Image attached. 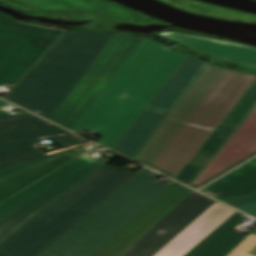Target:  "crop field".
<instances>
[{
    "instance_id": "1",
    "label": "crop field",
    "mask_w": 256,
    "mask_h": 256,
    "mask_svg": "<svg viewBox=\"0 0 256 256\" xmlns=\"http://www.w3.org/2000/svg\"><path fill=\"white\" fill-rule=\"evenodd\" d=\"M255 79L206 63L131 159L175 179Z\"/></svg>"
},
{
    "instance_id": "2",
    "label": "crop field",
    "mask_w": 256,
    "mask_h": 256,
    "mask_svg": "<svg viewBox=\"0 0 256 256\" xmlns=\"http://www.w3.org/2000/svg\"><path fill=\"white\" fill-rule=\"evenodd\" d=\"M185 57L144 39L70 130L95 131L111 149Z\"/></svg>"
},
{
    "instance_id": "3",
    "label": "crop field",
    "mask_w": 256,
    "mask_h": 256,
    "mask_svg": "<svg viewBox=\"0 0 256 256\" xmlns=\"http://www.w3.org/2000/svg\"><path fill=\"white\" fill-rule=\"evenodd\" d=\"M114 33L66 32L5 99L50 120Z\"/></svg>"
},
{
    "instance_id": "4",
    "label": "crop field",
    "mask_w": 256,
    "mask_h": 256,
    "mask_svg": "<svg viewBox=\"0 0 256 256\" xmlns=\"http://www.w3.org/2000/svg\"><path fill=\"white\" fill-rule=\"evenodd\" d=\"M135 175L137 173L105 164L2 241L0 256H36Z\"/></svg>"
},
{
    "instance_id": "5",
    "label": "crop field",
    "mask_w": 256,
    "mask_h": 256,
    "mask_svg": "<svg viewBox=\"0 0 256 256\" xmlns=\"http://www.w3.org/2000/svg\"><path fill=\"white\" fill-rule=\"evenodd\" d=\"M143 169L37 256H91L174 186Z\"/></svg>"
},
{
    "instance_id": "6",
    "label": "crop field",
    "mask_w": 256,
    "mask_h": 256,
    "mask_svg": "<svg viewBox=\"0 0 256 256\" xmlns=\"http://www.w3.org/2000/svg\"><path fill=\"white\" fill-rule=\"evenodd\" d=\"M106 162L108 161L79 156L47 177L0 203V242L47 203L96 171Z\"/></svg>"
},
{
    "instance_id": "7",
    "label": "crop field",
    "mask_w": 256,
    "mask_h": 256,
    "mask_svg": "<svg viewBox=\"0 0 256 256\" xmlns=\"http://www.w3.org/2000/svg\"><path fill=\"white\" fill-rule=\"evenodd\" d=\"M141 41L115 33L51 120L70 129Z\"/></svg>"
},
{
    "instance_id": "8",
    "label": "crop field",
    "mask_w": 256,
    "mask_h": 256,
    "mask_svg": "<svg viewBox=\"0 0 256 256\" xmlns=\"http://www.w3.org/2000/svg\"><path fill=\"white\" fill-rule=\"evenodd\" d=\"M63 32L0 14V84L14 86Z\"/></svg>"
},
{
    "instance_id": "9",
    "label": "crop field",
    "mask_w": 256,
    "mask_h": 256,
    "mask_svg": "<svg viewBox=\"0 0 256 256\" xmlns=\"http://www.w3.org/2000/svg\"><path fill=\"white\" fill-rule=\"evenodd\" d=\"M204 64L186 57L112 150L131 158Z\"/></svg>"
},
{
    "instance_id": "10",
    "label": "crop field",
    "mask_w": 256,
    "mask_h": 256,
    "mask_svg": "<svg viewBox=\"0 0 256 256\" xmlns=\"http://www.w3.org/2000/svg\"><path fill=\"white\" fill-rule=\"evenodd\" d=\"M67 133L30 113L0 115V163L43 153L28 139Z\"/></svg>"
},
{
    "instance_id": "11",
    "label": "crop field",
    "mask_w": 256,
    "mask_h": 256,
    "mask_svg": "<svg viewBox=\"0 0 256 256\" xmlns=\"http://www.w3.org/2000/svg\"><path fill=\"white\" fill-rule=\"evenodd\" d=\"M214 202L193 191L123 256L155 255ZM161 229L166 231L159 233Z\"/></svg>"
},
{
    "instance_id": "12",
    "label": "crop field",
    "mask_w": 256,
    "mask_h": 256,
    "mask_svg": "<svg viewBox=\"0 0 256 256\" xmlns=\"http://www.w3.org/2000/svg\"><path fill=\"white\" fill-rule=\"evenodd\" d=\"M256 155V106L190 185L197 189Z\"/></svg>"
},
{
    "instance_id": "13",
    "label": "crop field",
    "mask_w": 256,
    "mask_h": 256,
    "mask_svg": "<svg viewBox=\"0 0 256 256\" xmlns=\"http://www.w3.org/2000/svg\"><path fill=\"white\" fill-rule=\"evenodd\" d=\"M193 190L177 185L92 256H121Z\"/></svg>"
},
{
    "instance_id": "14",
    "label": "crop field",
    "mask_w": 256,
    "mask_h": 256,
    "mask_svg": "<svg viewBox=\"0 0 256 256\" xmlns=\"http://www.w3.org/2000/svg\"><path fill=\"white\" fill-rule=\"evenodd\" d=\"M236 211L215 202L155 256H182ZM154 256V255H153Z\"/></svg>"
},
{
    "instance_id": "15",
    "label": "crop field",
    "mask_w": 256,
    "mask_h": 256,
    "mask_svg": "<svg viewBox=\"0 0 256 256\" xmlns=\"http://www.w3.org/2000/svg\"><path fill=\"white\" fill-rule=\"evenodd\" d=\"M159 35L166 36L219 59L256 67V48L178 32L162 33ZM236 56L240 58L234 59Z\"/></svg>"
},
{
    "instance_id": "16",
    "label": "crop field",
    "mask_w": 256,
    "mask_h": 256,
    "mask_svg": "<svg viewBox=\"0 0 256 256\" xmlns=\"http://www.w3.org/2000/svg\"><path fill=\"white\" fill-rule=\"evenodd\" d=\"M199 191L222 202L256 193V157Z\"/></svg>"
},
{
    "instance_id": "17",
    "label": "crop field",
    "mask_w": 256,
    "mask_h": 256,
    "mask_svg": "<svg viewBox=\"0 0 256 256\" xmlns=\"http://www.w3.org/2000/svg\"><path fill=\"white\" fill-rule=\"evenodd\" d=\"M77 156L66 152L0 179V202L47 176Z\"/></svg>"
},
{
    "instance_id": "18",
    "label": "crop field",
    "mask_w": 256,
    "mask_h": 256,
    "mask_svg": "<svg viewBox=\"0 0 256 256\" xmlns=\"http://www.w3.org/2000/svg\"><path fill=\"white\" fill-rule=\"evenodd\" d=\"M244 215L236 212L184 256H226L246 236L230 230Z\"/></svg>"
},
{
    "instance_id": "19",
    "label": "crop field",
    "mask_w": 256,
    "mask_h": 256,
    "mask_svg": "<svg viewBox=\"0 0 256 256\" xmlns=\"http://www.w3.org/2000/svg\"><path fill=\"white\" fill-rule=\"evenodd\" d=\"M235 128L218 125L199 150L190 159L175 180L187 185L190 184L212 156L217 152Z\"/></svg>"
},
{
    "instance_id": "20",
    "label": "crop field",
    "mask_w": 256,
    "mask_h": 256,
    "mask_svg": "<svg viewBox=\"0 0 256 256\" xmlns=\"http://www.w3.org/2000/svg\"><path fill=\"white\" fill-rule=\"evenodd\" d=\"M256 105V80L243 94L220 124L237 127L250 110Z\"/></svg>"
},
{
    "instance_id": "21",
    "label": "crop field",
    "mask_w": 256,
    "mask_h": 256,
    "mask_svg": "<svg viewBox=\"0 0 256 256\" xmlns=\"http://www.w3.org/2000/svg\"><path fill=\"white\" fill-rule=\"evenodd\" d=\"M42 139H48L62 147L72 145V144L86 142L85 139H83L75 134H67V135L53 136V137H47V138L33 139L31 141L33 143L37 144V142Z\"/></svg>"
},
{
    "instance_id": "22",
    "label": "crop field",
    "mask_w": 256,
    "mask_h": 256,
    "mask_svg": "<svg viewBox=\"0 0 256 256\" xmlns=\"http://www.w3.org/2000/svg\"><path fill=\"white\" fill-rule=\"evenodd\" d=\"M69 150H71V149H69ZM69 150H66V151H69ZM63 152H65V151H63ZM60 153H62V152L55 153V154H51V155H47V156L42 157V158H38V159L29 161V162H25V163H22V164H19V165H16V166H12V167H9V168L0 170V178H1V177H4V176H6V175H9V174H11V173H14V172H16V171H18V170H20V169H23V168H25V167H27V166H30V165H32V164H35V163H37V162H40V161L46 160V159H48V158L54 157V156H56V155H58V154H60Z\"/></svg>"
},
{
    "instance_id": "23",
    "label": "crop field",
    "mask_w": 256,
    "mask_h": 256,
    "mask_svg": "<svg viewBox=\"0 0 256 256\" xmlns=\"http://www.w3.org/2000/svg\"><path fill=\"white\" fill-rule=\"evenodd\" d=\"M255 201H256V194H253V195L237 198L234 200H230L224 203L229 204L233 207H236V206H240V205L255 202Z\"/></svg>"
},
{
    "instance_id": "24",
    "label": "crop field",
    "mask_w": 256,
    "mask_h": 256,
    "mask_svg": "<svg viewBox=\"0 0 256 256\" xmlns=\"http://www.w3.org/2000/svg\"><path fill=\"white\" fill-rule=\"evenodd\" d=\"M236 208L256 218V202Z\"/></svg>"
},
{
    "instance_id": "25",
    "label": "crop field",
    "mask_w": 256,
    "mask_h": 256,
    "mask_svg": "<svg viewBox=\"0 0 256 256\" xmlns=\"http://www.w3.org/2000/svg\"><path fill=\"white\" fill-rule=\"evenodd\" d=\"M75 147H76V146H75ZM71 148H73V147H71ZM66 149H69V148H66ZM66 149H62V150H66ZM62 150H57V151H53V152H48V153H45V154H42V155H38V156H34V157H30V158H26V159L14 161V162L2 164V165H0V169L5 168V167H8V166H11V165H15V164H18V163H21V162H24V161H28V160H31V159H34V158H37V157H40V156H44V155H47V154H50V153L62 151Z\"/></svg>"
},
{
    "instance_id": "26",
    "label": "crop field",
    "mask_w": 256,
    "mask_h": 256,
    "mask_svg": "<svg viewBox=\"0 0 256 256\" xmlns=\"http://www.w3.org/2000/svg\"><path fill=\"white\" fill-rule=\"evenodd\" d=\"M4 104H7V103L0 100V106H2V105H4ZM5 113H6L5 111H3V110L0 109V114H5Z\"/></svg>"
},
{
    "instance_id": "27",
    "label": "crop field",
    "mask_w": 256,
    "mask_h": 256,
    "mask_svg": "<svg viewBox=\"0 0 256 256\" xmlns=\"http://www.w3.org/2000/svg\"><path fill=\"white\" fill-rule=\"evenodd\" d=\"M32 112H34V113H36V114H38V115H40V111H38V110H31Z\"/></svg>"
}]
</instances>
